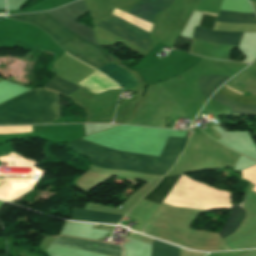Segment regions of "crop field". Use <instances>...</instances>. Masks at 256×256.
Listing matches in <instances>:
<instances>
[{
	"label": "crop field",
	"mask_w": 256,
	"mask_h": 256,
	"mask_svg": "<svg viewBox=\"0 0 256 256\" xmlns=\"http://www.w3.org/2000/svg\"><path fill=\"white\" fill-rule=\"evenodd\" d=\"M85 12H87L86 7L80 0L46 13L74 32L95 41L91 30L74 21ZM46 13L11 15L7 17L42 28L66 52L97 69L114 59L106 56L98 48L97 43L77 35Z\"/></svg>",
	"instance_id": "crop-field-1"
},
{
	"label": "crop field",
	"mask_w": 256,
	"mask_h": 256,
	"mask_svg": "<svg viewBox=\"0 0 256 256\" xmlns=\"http://www.w3.org/2000/svg\"><path fill=\"white\" fill-rule=\"evenodd\" d=\"M188 138L169 137L160 157L113 151L81 139L67 147L86 156L94 166L164 175L174 165Z\"/></svg>",
	"instance_id": "crop-field-2"
},
{
	"label": "crop field",
	"mask_w": 256,
	"mask_h": 256,
	"mask_svg": "<svg viewBox=\"0 0 256 256\" xmlns=\"http://www.w3.org/2000/svg\"><path fill=\"white\" fill-rule=\"evenodd\" d=\"M59 118V95L34 89L0 104V124L49 123Z\"/></svg>",
	"instance_id": "crop-field-3"
},
{
	"label": "crop field",
	"mask_w": 256,
	"mask_h": 256,
	"mask_svg": "<svg viewBox=\"0 0 256 256\" xmlns=\"http://www.w3.org/2000/svg\"><path fill=\"white\" fill-rule=\"evenodd\" d=\"M141 1L146 2L150 5L155 6V7H158L162 10L167 9L173 2V0H141ZM141 1L137 2L132 7V9L129 11V13H131L135 16H138L142 19H145V20L152 23L154 18H155V15L157 13L161 12L162 10L157 9L153 6H150L148 4H145ZM108 23H110V24H112V25H114V26H116V27H118V28H120V29H122V30H124V31H126V32H128V33H130V34H132V35H134V36H136V37H138V38H140V39H142V40L151 44V39H150V37H148V33L144 32V31H142L138 28H135V27H133V26H131V25L125 23V22H122V21H120V20H118V19H116L112 16L110 17ZM108 23L101 21L100 23L97 24V26H99V27H101V28H103V29H105V30H107V31H109V32H111V33H113V34H115V35H117V36H119V37H121V38H123V39L141 47V48H143V49H145V50H147V48L150 44H148V43H146V42H144V41H142V40L126 33V32H124V31H122V30H120V29H118V28H116V27H114V26H112Z\"/></svg>",
	"instance_id": "crop-field-4"
},
{
	"label": "crop field",
	"mask_w": 256,
	"mask_h": 256,
	"mask_svg": "<svg viewBox=\"0 0 256 256\" xmlns=\"http://www.w3.org/2000/svg\"><path fill=\"white\" fill-rule=\"evenodd\" d=\"M216 21L226 23H256V15H235L220 11ZM241 33L242 32L210 31L196 27L194 37L237 46Z\"/></svg>",
	"instance_id": "crop-field-5"
},
{
	"label": "crop field",
	"mask_w": 256,
	"mask_h": 256,
	"mask_svg": "<svg viewBox=\"0 0 256 256\" xmlns=\"http://www.w3.org/2000/svg\"><path fill=\"white\" fill-rule=\"evenodd\" d=\"M218 93L236 101L245 102L249 104H256V96H250V97L241 96L225 87L221 89ZM218 93L213 97V100L229 107L230 110L228 114L256 115V105H249V104L236 102Z\"/></svg>",
	"instance_id": "crop-field-6"
},
{
	"label": "crop field",
	"mask_w": 256,
	"mask_h": 256,
	"mask_svg": "<svg viewBox=\"0 0 256 256\" xmlns=\"http://www.w3.org/2000/svg\"><path fill=\"white\" fill-rule=\"evenodd\" d=\"M55 242H59L62 244H66L69 246H73L76 248H80L83 250L97 252L102 254H108L113 256H122V250L120 247L112 246L108 244L88 241V240H79V239H71L59 236L56 238Z\"/></svg>",
	"instance_id": "crop-field-7"
},
{
	"label": "crop field",
	"mask_w": 256,
	"mask_h": 256,
	"mask_svg": "<svg viewBox=\"0 0 256 256\" xmlns=\"http://www.w3.org/2000/svg\"><path fill=\"white\" fill-rule=\"evenodd\" d=\"M99 70L101 72H103L105 75L112 78L120 86H122L126 89L137 84L134 76H132L130 73H128L124 69H122L118 66H115L111 63L105 65L104 67H102Z\"/></svg>",
	"instance_id": "crop-field-8"
},
{
	"label": "crop field",
	"mask_w": 256,
	"mask_h": 256,
	"mask_svg": "<svg viewBox=\"0 0 256 256\" xmlns=\"http://www.w3.org/2000/svg\"><path fill=\"white\" fill-rule=\"evenodd\" d=\"M121 216L74 208L72 220L118 224Z\"/></svg>",
	"instance_id": "crop-field-9"
},
{
	"label": "crop field",
	"mask_w": 256,
	"mask_h": 256,
	"mask_svg": "<svg viewBox=\"0 0 256 256\" xmlns=\"http://www.w3.org/2000/svg\"><path fill=\"white\" fill-rule=\"evenodd\" d=\"M180 177L181 175L163 177L160 183L144 199L161 204Z\"/></svg>",
	"instance_id": "crop-field-10"
},
{
	"label": "crop field",
	"mask_w": 256,
	"mask_h": 256,
	"mask_svg": "<svg viewBox=\"0 0 256 256\" xmlns=\"http://www.w3.org/2000/svg\"><path fill=\"white\" fill-rule=\"evenodd\" d=\"M245 217V212L238 207L237 205L232 206L231 213L225 222L222 229L218 232L219 235L224 238L228 235H231L237 227H239L241 221ZM237 230V229H236Z\"/></svg>",
	"instance_id": "crop-field-11"
},
{
	"label": "crop field",
	"mask_w": 256,
	"mask_h": 256,
	"mask_svg": "<svg viewBox=\"0 0 256 256\" xmlns=\"http://www.w3.org/2000/svg\"><path fill=\"white\" fill-rule=\"evenodd\" d=\"M229 78L224 76H216V75H209V76H200L198 79L199 86L201 93L206 97L209 98L210 95L226 80Z\"/></svg>",
	"instance_id": "crop-field-12"
},
{
	"label": "crop field",
	"mask_w": 256,
	"mask_h": 256,
	"mask_svg": "<svg viewBox=\"0 0 256 256\" xmlns=\"http://www.w3.org/2000/svg\"><path fill=\"white\" fill-rule=\"evenodd\" d=\"M45 88H47L51 91L59 92L65 97V96L69 95L70 93L76 91L80 87H78L72 83H69L67 81H64L55 75L46 84Z\"/></svg>",
	"instance_id": "crop-field-13"
},
{
	"label": "crop field",
	"mask_w": 256,
	"mask_h": 256,
	"mask_svg": "<svg viewBox=\"0 0 256 256\" xmlns=\"http://www.w3.org/2000/svg\"><path fill=\"white\" fill-rule=\"evenodd\" d=\"M179 252V247L155 239L153 240L152 256H179Z\"/></svg>",
	"instance_id": "crop-field-14"
},
{
	"label": "crop field",
	"mask_w": 256,
	"mask_h": 256,
	"mask_svg": "<svg viewBox=\"0 0 256 256\" xmlns=\"http://www.w3.org/2000/svg\"><path fill=\"white\" fill-rule=\"evenodd\" d=\"M215 18L216 17H214V16H209V15L203 14L200 26L204 27V28L212 29L213 24L215 22Z\"/></svg>",
	"instance_id": "crop-field-15"
},
{
	"label": "crop field",
	"mask_w": 256,
	"mask_h": 256,
	"mask_svg": "<svg viewBox=\"0 0 256 256\" xmlns=\"http://www.w3.org/2000/svg\"><path fill=\"white\" fill-rule=\"evenodd\" d=\"M68 55V54H67ZM71 57V56H70ZM88 66V65H87Z\"/></svg>",
	"instance_id": "crop-field-16"
},
{
	"label": "crop field",
	"mask_w": 256,
	"mask_h": 256,
	"mask_svg": "<svg viewBox=\"0 0 256 256\" xmlns=\"http://www.w3.org/2000/svg\"><path fill=\"white\" fill-rule=\"evenodd\" d=\"M3 256H5V255H3Z\"/></svg>",
	"instance_id": "crop-field-17"
}]
</instances>
